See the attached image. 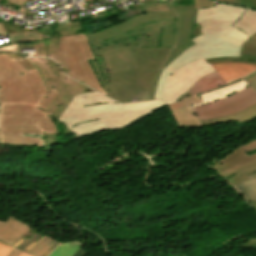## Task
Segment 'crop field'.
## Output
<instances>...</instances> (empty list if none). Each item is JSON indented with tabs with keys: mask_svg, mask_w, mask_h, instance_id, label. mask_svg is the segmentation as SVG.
I'll use <instances>...</instances> for the list:
<instances>
[{
	"mask_svg": "<svg viewBox=\"0 0 256 256\" xmlns=\"http://www.w3.org/2000/svg\"><path fill=\"white\" fill-rule=\"evenodd\" d=\"M13 248L0 243V256H6Z\"/></svg>",
	"mask_w": 256,
	"mask_h": 256,
	"instance_id": "crop-field-23",
	"label": "crop field"
},
{
	"mask_svg": "<svg viewBox=\"0 0 256 256\" xmlns=\"http://www.w3.org/2000/svg\"><path fill=\"white\" fill-rule=\"evenodd\" d=\"M57 55L69 67L67 75L106 95L87 62L95 58L83 33L62 37Z\"/></svg>",
	"mask_w": 256,
	"mask_h": 256,
	"instance_id": "crop-field-7",
	"label": "crop field"
},
{
	"mask_svg": "<svg viewBox=\"0 0 256 256\" xmlns=\"http://www.w3.org/2000/svg\"><path fill=\"white\" fill-rule=\"evenodd\" d=\"M250 204L256 210V202H250Z\"/></svg>",
	"mask_w": 256,
	"mask_h": 256,
	"instance_id": "crop-field-33",
	"label": "crop field"
},
{
	"mask_svg": "<svg viewBox=\"0 0 256 256\" xmlns=\"http://www.w3.org/2000/svg\"><path fill=\"white\" fill-rule=\"evenodd\" d=\"M216 1H219V2H229V3H232V4H237L239 0H216Z\"/></svg>",
	"mask_w": 256,
	"mask_h": 256,
	"instance_id": "crop-field-30",
	"label": "crop field"
},
{
	"mask_svg": "<svg viewBox=\"0 0 256 256\" xmlns=\"http://www.w3.org/2000/svg\"><path fill=\"white\" fill-rule=\"evenodd\" d=\"M243 246L256 245V238H251L242 244Z\"/></svg>",
	"mask_w": 256,
	"mask_h": 256,
	"instance_id": "crop-field-26",
	"label": "crop field"
},
{
	"mask_svg": "<svg viewBox=\"0 0 256 256\" xmlns=\"http://www.w3.org/2000/svg\"><path fill=\"white\" fill-rule=\"evenodd\" d=\"M225 84L227 83L218 75V73L214 72L198 80V82L187 92L194 95L197 93L211 90L216 87H220Z\"/></svg>",
	"mask_w": 256,
	"mask_h": 256,
	"instance_id": "crop-field-16",
	"label": "crop field"
},
{
	"mask_svg": "<svg viewBox=\"0 0 256 256\" xmlns=\"http://www.w3.org/2000/svg\"><path fill=\"white\" fill-rule=\"evenodd\" d=\"M171 48H140L138 45L101 53L110 70L112 90L120 103L133 102V98L154 100Z\"/></svg>",
	"mask_w": 256,
	"mask_h": 256,
	"instance_id": "crop-field-3",
	"label": "crop field"
},
{
	"mask_svg": "<svg viewBox=\"0 0 256 256\" xmlns=\"http://www.w3.org/2000/svg\"><path fill=\"white\" fill-rule=\"evenodd\" d=\"M32 59L43 67L51 83V87L57 89L59 92L58 96L46 110V112L50 114V118L56 117L59 119L76 94L94 91L69 77H66L61 68L52 60L47 58Z\"/></svg>",
	"mask_w": 256,
	"mask_h": 256,
	"instance_id": "crop-field-8",
	"label": "crop field"
},
{
	"mask_svg": "<svg viewBox=\"0 0 256 256\" xmlns=\"http://www.w3.org/2000/svg\"><path fill=\"white\" fill-rule=\"evenodd\" d=\"M8 1H10V2H12V3H14V4H17V5H19V6H22L23 3H24L26 0H8Z\"/></svg>",
	"mask_w": 256,
	"mask_h": 256,
	"instance_id": "crop-field-28",
	"label": "crop field"
},
{
	"mask_svg": "<svg viewBox=\"0 0 256 256\" xmlns=\"http://www.w3.org/2000/svg\"><path fill=\"white\" fill-rule=\"evenodd\" d=\"M56 242V240H53L47 236L28 253L35 256H43Z\"/></svg>",
	"mask_w": 256,
	"mask_h": 256,
	"instance_id": "crop-field-19",
	"label": "crop field"
},
{
	"mask_svg": "<svg viewBox=\"0 0 256 256\" xmlns=\"http://www.w3.org/2000/svg\"><path fill=\"white\" fill-rule=\"evenodd\" d=\"M239 55L240 47L231 43L207 41L193 45L163 70L155 99L172 104L191 96L186 91L199 78L215 71L204 59Z\"/></svg>",
	"mask_w": 256,
	"mask_h": 256,
	"instance_id": "crop-field-5",
	"label": "crop field"
},
{
	"mask_svg": "<svg viewBox=\"0 0 256 256\" xmlns=\"http://www.w3.org/2000/svg\"><path fill=\"white\" fill-rule=\"evenodd\" d=\"M256 148V140H253L211 167L232 185H237L256 176V154L247 156L245 151Z\"/></svg>",
	"mask_w": 256,
	"mask_h": 256,
	"instance_id": "crop-field-9",
	"label": "crop field"
},
{
	"mask_svg": "<svg viewBox=\"0 0 256 256\" xmlns=\"http://www.w3.org/2000/svg\"><path fill=\"white\" fill-rule=\"evenodd\" d=\"M79 247L80 245L76 243H64L59 245L49 256H72Z\"/></svg>",
	"mask_w": 256,
	"mask_h": 256,
	"instance_id": "crop-field-20",
	"label": "crop field"
},
{
	"mask_svg": "<svg viewBox=\"0 0 256 256\" xmlns=\"http://www.w3.org/2000/svg\"><path fill=\"white\" fill-rule=\"evenodd\" d=\"M236 188L248 201H256V177L236 186Z\"/></svg>",
	"mask_w": 256,
	"mask_h": 256,
	"instance_id": "crop-field-18",
	"label": "crop field"
},
{
	"mask_svg": "<svg viewBox=\"0 0 256 256\" xmlns=\"http://www.w3.org/2000/svg\"><path fill=\"white\" fill-rule=\"evenodd\" d=\"M255 104L256 95L249 87L228 98L203 106L194 107L193 110L198 116L199 120L202 121L235 113L242 109L249 108Z\"/></svg>",
	"mask_w": 256,
	"mask_h": 256,
	"instance_id": "crop-field-11",
	"label": "crop field"
},
{
	"mask_svg": "<svg viewBox=\"0 0 256 256\" xmlns=\"http://www.w3.org/2000/svg\"><path fill=\"white\" fill-rule=\"evenodd\" d=\"M255 75H256V72L253 73V74H251V75H249V76H247V77H245L244 79H245V80H248V79L252 78V77L255 76Z\"/></svg>",
	"mask_w": 256,
	"mask_h": 256,
	"instance_id": "crop-field-32",
	"label": "crop field"
},
{
	"mask_svg": "<svg viewBox=\"0 0 256 256\" xmlns=\"http://www.w3.org/2000/svg\"><path fill=\"white\" fill-rule=\"evenodd\" d=\"M60 242H57L44 256H47Z\"/></svg>",
	"mask_w": 256,
	"mask_h": 256,
	"instance_id": "crop-field-31",
	"label": "crop field"
},
{
	"mask_svg": "<svg viewBox=\"0 0 256 256\" xmlns=\"http://www.w3.org/2000/svg\"><path fill=\"white\" fill-rule=\"evenodd\" d=\"M139 14L120 24L98 32L84 33L89 40L96 60L89 61L108 97L116 100L111 91L110 75L99 54L125 45L141 47L173 46L165 67L194 43L191 40L197 10L194 0H169L140 6ZM164 67V68H165Z\"/></svg>",
	"mask_w": 256,
	"mask_h": 256,
	"instance_id": "crop-field-1",
	"label": "crop field"
},
{
	"mask_svg": "<svg viewBox=\"0 0 256 256\" xmlns=\"http://www.w3.org/2000/svg\"><path fill=\"white\" fill-rule=\"evenodd\" d=\"M199 102H202V100L199 99L197 95H194L178 103L168 106L176 126H196V125L208 126L212 124L225 123L229 121H237L242 123L244 121H247L256 117V110H255L256 105H255L249 109L243 110L236 114L199 122L196 115L193 113L191 107L189 106L191 104H195Z\"/></svg>",
	"mask_w": 256,
	"mask_h": 256,
	"instance_id": "crop-field-10",
	"label": "crop field"
},
{
	"mask_svg": "<svg viewBox=\"0 0 256 256\" xmlns=\"http://www.w3.org/2000/svg\"><path fill=\"white\" fill-rule=\"evenodd\" d=\"M85 253L86 251H84L82 248H79L73 256H84Z\"/></svg>",
	"mask_w": 256,
	"mask_h": 256,
	"instance_id": "crop-field-27",
	"label": "crop field"
},
{
	"mask_svg": "<svg viewBox=\"0 0 256 256\" xmlns=\"http://www.w3.org/2000/svg\"><path fill=\"white\" fill-rule=\"evenodd\" d=\"M241 54L256 56V34L243 43Z\"/></svg>",
	"mask_w": 256,
	"mask_h": 256,
	"instance_id": "crop-field-21",
	"label": "crop field"
},
{
	"mask_svg": "<svg viewBox=\"0 0 256 256\" xmlns=\"http://www.w3.org/2000/svg\"><path fill=\"white\" fill-rule=\"evenodd\" d=\"M59 35L57 34L53 38H48L46 40L38 41L36 43H14L2 46L0 47V51L8 50L22 53L21 49L35 48L36 56H47L54 59L60 64L62 70L64 72H67L69 71V69L67 68L66 64L59 57L56 56L57 46L61 37Z\"/></svg>",
	"mask_w": 256,
	"mask_h": 256,
	"instance_id": "crop-field-12",
	"label": "crop field"
},
{
	"mask_svg": "<svg viewBox=\"0 0 256 256\" xmlns=\"http://www.w3.org/2000/svg\"><path fill=\"white\" fill-rule=\"evenodd\" d=\"M245 10L243 7L221 3H216V7L199 9L192 40L195 44L207 40H220L241 46L250 37L230 26Z\"/></svg>",
	"mask_w": 256,
	"mask_h": 256,
	"instance_id": "crop-field-6",
	"label": "crop field"
},
{
	"mask_svg": "<svg viewBox=\"0 0 256 256\" xmlns=\"http://www.w3.org/2000/svg\"><path fill=\"white\" fill-rule=\"evenodd\" d=\"M252 72H253V71H252ZM252 72H250V73H252ZM250 73H249V74H250ZM249 74H247V75H249ZM247 75H242V76H240V77H238V78H236V79H234V80H237V79L242 78V77L247 76ZM234 80H232V81H234ZM228 82H230V81H228ZM228 82H227V83H228Z\"/></svg>",
	"mask_w": 256,
	"mask_h": 256,
	"instance_id": "crop-field-34",
	"label": "crop field"
},
{
	"mask_svg": "<svg viewBox=\"0 0 256 256\" xmlns=\"http://www.w3.org/2000/svg\"><path fill=\"white\" fill-rule=\"evenodd\" d=\"M48 93L34 65L12 52H0V135L1 143L38 145L45 150L59 142L56 127L44 111L57 95ZM21 133L45 136L22 137Z\"/></svg>",
	"mask_w": 256,
	"mask_h": 256,
	"instance_id": "crop-field-2",
	"label": "crop field"
},
{
	"mask_svg": "<svg viewBox=\"0 0 256 256\" xmlns=\"http://www.w3.org/2000/svg\"><path fill=\"white\" fill-rule=\"evenodd\" d=\"M246 82L252 87V89L255 92L256 91V76Z\"/></svg>",
	"mask_w": 256,
	"mask_h": 256,
	"instance_id": "crop-field-25",
	"label": "crop field"
},
{
	"mask_svg": "<svg viewBox=\"0 0 256 256\" xmlns=\"http://www.w3.org/2000/svg\"><path fill=\"white\" fill-rule=\"evenodd\" d=\"M32 228L15 217H9L5 222L0 221V241L11 245Z\"/></svg>",
	"mask_w": 256,
	"mask_h": 256,
	"instance_id": "crop-field-13",
	"label": "crop field"
},
{
	"mask_svg": "<svg viewBox=\"0 0 256 256\" xmlns=\"http://www.w3.org/2000/svg\"><path fill=\"white\" fill-rule=\"evenodd\" d=\"M215 6L213 0H195V9Z\"/></svg>",
	"mask_w": 256,
	"mask_h": 256,
	"instance_id": "crop-field-22",
	"label": "crop field"
},
{
	"mask_svg": "<svg viewBox=\"0 0 256 256\" xmlns=\"http://www.w3.org/2000/svg\"><path fill=\"white\" fill-rule=\"evenodd\" d=\"M248 87L247 83L242 80H238L232 84L220 87L218 89L199 94L198 96L203 100L202 103L191 105V107L203 105L205 103H210L225 97H228L244 88Z\"/></svg>",
	"mask_w": 256,
	"mask_h": 256,
	"instance_id": "crop-field-14",
	"label": "crop field"
},
{
	"mask_svg": "<svg viewBox=\"0 0 256 256\" xmlns=\"http://www.w3.org/2000/svg\"><path fill=\"white\" fill-rule=\"evenodd\" d=\"M20 253L21 251L14 249L8 256H18Z\"/></svg>",
	"mask_w": 256,
	"mask_h": 256,
	"instance_id": "crop-field-29",
	"label": "crop field"
},
{
	"mask_svg": "<svg viewBox=\"0 0 256 256\" xmlns=\"http://www.w3.org/2000/svg\"><path fill=\"white\" fill-rule=\"evenodd\" d=\"M19 256H32V255L25 254V253L22 252Z\"/></svg>",
	"mask_w": 256,
	"mask_h": 256,
	"instance_id": "crop-field-35",
	"label": "crop field"
},
{
	"mask_svg": "<svg viewBox=\"0 0 256 256\" xmlns=\"http://www.w3.org/2000/svg\"><path fill=\"white\" fill-rule=\"evenodd\" d=\"M165 105L162 100L120 105L97 92L85 93L74 97L59 121L66 124L65 134H76L71 143L98 131L121 130Z\"/></svg>",
	"mask_w": 256,
	"mask_h": 256,
	"instance_id": "crop-field-4",
	"label": "crop field"
},
{
	"mask_svg": "<svg viewBox=\"0 0 256 256\" xmlns=\"http://www.w3.org/2000/svg\"><path fill=\"white\" fill-rule=\"evenodd\" d=\"M233 27L242 30V32L249 36L256 33V10L247 9L240 19L235 22Z\"/></svg>",
	"mask_w": 256,
	"mask_h": 256,
	"instance_id": "crop-field-17",
	"label": "crop field"
},
{
	"mask_svg": "<svg viewBox=\"0 0 256 256\" xmlns=\"http://www.w3.org/2000/svg\"><path fill=\"white\" fill-rule=\"evenodd\" d=\"M213 66L225 81L234 79L256 69V65L241 63H217L213 64Z\"/></svg>",
	"mask_w": 256,
	"mask_h": 256,
	"instance_id": "crop-field-15",
	"label": "crop field"
},
{
	"mask_svg": "<svg viewBox=\"0 0 256 256\" xmlns=\"http://www.w3.org/2000/svg\"><path fill=\"white\" fill-rule=\"evenodd\" d=\"M244 248H256V246L244 247Z\"/></svg>",
	"mask_w": 256,
	"mask_h": 256,
	"instance_id": "crop-field-36",
	"label": "crop field"
},
{
	"mask_svg": "<svg viewBox=\"0 0 256 256\" xmlns=\"http://www.w3.org/2000/svg\"><path fill=\"white\" fill-rule=\"evenodd\" d=\"M238 4L249 5L256 8V0H240Z\"/></svg>",
	"mask_w": 256,
	"mask_h": 256,
	"instance_id": "crop-field-24",
	"label": "crop field"
},
{
	"mask_svg": "<svg viewBox=\"0 0 256 256\" xmlns=\"http://www.w3.org/2000/svg\"><path fill=\"white\" fill-rule=\"evenodd\" d=\"M86 1H88V0H86Z\"/></svg>",
	"mask_w": 256,
	"mask_h": 256,
	"instance_id": "crop-field-37",
	"label": "crop field"
}]
</instances>
